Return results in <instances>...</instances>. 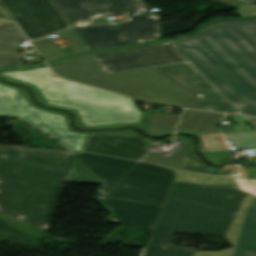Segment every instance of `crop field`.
Listing matches in <instances>:
<instances>
[{
  "label": "crop field",
  "instance_id": "crop-field-1",
  "mask_svg": "<svg viewBox=\"0 0 256 256\" xmlns=\"http://www.w3.org/2000/svg\"><path fill=\"white\" fill-rule=\"evenodd\" d=\"M1 154L0 213L48 228L77 154L0 145Z\"/></svg>",
  "mask_w": 256,
  "mask_h": 256
},
{
  "label": "crop field",
  "instance_id": "crop-field-2",
  "mask_svg": "<svg viewBox=\"0 0 256 256\" xmlns=\"http://www.w3.org/2000/svg\"><path fill=\"white\" fill-rule=\"evenodd\" d=\"M243 114L256 116V21L171 41Z\"/></svg>",
  "mask_w": 256,
  "mask_h": 256
},
{
  "label": "crop field",
  "instance_id": "crop-field-3",
  "mask_svg": "<svg viewBox=\"0 0 256 256\" xmlns=\"http://www.w3.org/2000/svg\"><path fill=\"white\" fill-rule=\"evenodd\" d=\"M245 196L236 186L174 182L153 233L178 231L224 237Z\"/></svg>",
  "mask_w": 256,
  "mask_h": 256
},
{
  "label": "crop field",
  "instance_id": "crop-field-4",
  "mask_svg": "<svg viewBox=\"0 0 256 256\" xmlns=\"http://www.w3.org/2000/svg\"><path fill=\"white\" fill-rule=\"evenodd\" d=\"M57 75L136 99L198 109L196 93L149 67L105 75L90 54L49 63Z\"/></svg>",
  "mask_w": 256,
  "mask_h": 256
},
{
  "label": "crop field",
  "instance_id": "crop-field-5",
  "mask_svg": "<svg viewBox=\"0 0 256 256\" xmlns=\"http://www.w3.org/2000/svg\"><path fill=\"white\" fill-rule=\"evenodd\" d=\"M4 74L35 83L50 104L77 109L85 125L138 122L142 115L132 99L55 78L48 67Z\"/></svg>",
  "mask_w": 256,
  "mask_h": 256
},
{
  "label": "crop field",
  "instance_id": "crop-field-6",
  "mask_svg": "<svg viewBox=\"0 0 256 256\" xmlns=\"http://www.w3.org/2000/svg\"><path fill=\"white\" fill-rule=\"evenodd\" d=\"M103 183L100 193L163 206L178 171L107 156L82 153L78 161Z\"/></svg>",
  "mask_w": 256,
  "mask_h": 256
},
{
  "label": "crop field",
  "instance_id": "crop-field-7",
  "mask_svg": "<svg viewBox=\"0 0 256 256\" xmlns=\"http://www.w3.org/2000/svg\"><path fill=\"white\" fill-rule=\"evenodd\" d=\"M128 22L112 29L110 25L74 28L89 51L156 40L160 33V15L126 16Z\"/></svg>",
  "mask_w": 256,
  "mask_h": 256
},
{
  "label": "crop field",
  "instance_id": "crop-field-8",
  "mask_svg": "<svg viewBox=\"0 0 256 256\" xmlns=\"http://www.w3.org/2000/svg\"><path fill=\"white\" fill-rule=\"evenodd\" d=\"M4 115H14L28 122L57 138L69 150L80 151L86 137L69 131L61 115L36 109L18 90L0 84V116Z\"/></svg>",
  "mask_w": 256,
  "mask_h": 256
},
{
  "label": "crop field",
  "instance_id": "crop-field-9",
  "mask_svg": "<svg viewBox=\"0 0 256 256\" xmlns=\"http://www.w3.org/2000/svg\"><path fill=\"white\" fill-rule=\"evenodd\" d=\"M105 74L184 61L166 40L93 53Z\"/></svg>",
  "mask_w": 256,
  "mask_h": 256
},
{
  "label": "crop field",
  "instance_id": "crop-field-10",
  "mask_svg": "<svg viewBox=\"0 0 256 256\" xmlns=\"http://www.w3.org/2000/svg\"><path fill=\"white\" fill-rule=\"evenodd\" d=\"M30 39L69 28L51 0H1Z\"/></svg>",
  "mask_w": 256,
  "mask_h": 256
},
{
  "label": "crop field",
  "instance_id": "crop-field-11",
  "mask_svg": "<svg viewBox=\"0 0 256 256\" xmlns=\"http://www.w3.org/2000/svg\"><path fill=\"white\" fill-rule=\"evenodd\" d=\"M70 25L94 24V18L105 15L148 13L142 0H53Z\"/></svg>",
  "mask_w": 256,
  "mask_h": 256
},
{
  "label": "crop field",
  "instance_id": "crop-field-12",
  "mask_svg": "<svg viewBox=\"0 0 256 256\" xmlns=\"http://www.w3.org/2000/svg\"><path fill=\"white\" fill-rule=\"evenodd\" d=\"M232 248L219 252H199L194 256H256V197L247 195L224 237Z\"/></svg>",
  "mask_w": 256,
  "mask_h": 256
},
{
  "label": "crop field",
  "instance_id": "crop-field-13",
  "mask_svg": "<svg viewBox=\"0 0 256 256\" xmlns=\"http://www.w3.org/2000/svg\"><path fill=\"white\" fill-rule=\"evenodd\" d=\"M154 68L196 92L199 109L240 114L187 61L155 66Z\"/></svg>",
  "mask_w": 256,
  "mask_h": 256
},
{
  "label": "crop field",
  "instance_id": "crop-field-14",
  "mask_svg": "<svg viewBox=\"0 0 256 256\" xmlns=\"http://www.w3.org/2000/svg\"><path fill=\"white\" fill-rule=\"evenodd\" d=\"M112 215L108 222L133 225L153 229L163 207L115 200L109 198H97Z\"/></svg>",
  "mask_w": 256,
  "mask_h": 256
},
{
  "label": "crop field",
  "instance_id": "crop-field-15",
  "mask_svg": "<svg viewBox=\"0 0 256 256\" xmlns=\"http://www.w3.org/2000/svg\"><path fill=\"white\" fill-rule=\"evenodd\" d=\"M116 143L118 146L113 145ZM143 138H126L90 134L84 150L126 159L139 160L148 146Z\"/></svg>",
  "mask_w": 256,
  "mask_h": 256
},
{
  "label": "crop field",
  "instance_id": "crop-field-16",
  "mask_svg": "<svg viewBox=\"0 0 256 256\" xmlns=\"http://www.w3.org/2000/svg\"><path fill=\"white\" fill-rule=\"evenodd\" d=\"M224 114L186 110L177 130L214 133Z\"/></svg>",
  "mask_w": 256,
  "mask_h": 256
},
{
  "label": "crop field",
  "instance_id": "crop-field-17",
  "mask_svg": "<svg viewBox=\"0 0 256 256\" xmlns=\"http://www.w3.org/2000/svg\"><path fill=\"white\" fill-rule=\"evenodd\" d=\"M24 39L23 34L16 24L12 23L0 26V67L21 65L17 61L16 54L12 52Z\"/></svg>",
  "mask_w": 256,
  "mask_h": 256
},
{
  "label": "crop field",
  "instance_id": "crop-field-18",
  "mask_svg": "<svg viewBox=\"0 0 256 256\" xmlns=\"http://www.w3.org/2000/svg\"><path fill=\"white\" fill-rule=\"evenodd\" d=\"M175 181L201 185H234L231 177H210L179 171Z\"/></svg>",
  "mask_w": 256,
  "mask_h": 256
},
{
  "label": "crop field",
  "instance_id": "crop-field-19",
  "mask_svg": "<svg viewBox=\"0 0 256 256\" xmlns=\"http://www.w3.org/2000/svg\"><path fill=\"white\" fill-rule=\"evenodd\" d=\"M179 116L180 115L154 113L147 133L160 134L173 131Z\"/></svg>",
  "mask_w": 256,
  "mask_h": 256
},
{
  "label": "crop field",
  "instance_id": "crop-field-20",
  "mask_svg": "<svg viewBox=\"0 0 256 256\" xmlns=\"http://www.w3.org/2000/svg\"><path fill=\"white\" fill-rule=\"evenodd\" d=\"M188 149V145H183L182 148L176 150L175 153H171V157L162 158L157 151L149 152L142 160L171 168H180L183 157Z\"/></svg>",
  "mask_w": 256,
  "mask_h": 256
},
{
  "label": "crop field",
  "instance_id": "crop-field-21",
  "mask_svg": "<svg viewBox=\"0 0 256 256\" xmlns=\"http://www.w3.org/2000/svg\"><path fill=\"white\" fill-rule=\"evenodd\" d=\"M194 252L195 250L168 248L167 245L149 243L143 256H193Z\"/></svg>",
  "mask_w": 256,
  "mask_h": 256
},
{
  "label": "crop field",
  "instance_id": "crop-field-22",
  "mask_svg": "<svg viewBox=\"0 0 256 256\" xmlns=\"http://www.w3.org/2000/svg\"><path fill=\"white\" fill-rule=\"evenodd\" d=\"M225 138L234 143L236 150L256 147V130L223 133Z\"/></svg>",
  "mask_w": 256,
  "mask_h": 256
},
{
  "label": "crop field",
  "instance_id": "crop-field-23",
  "mask_svg": "<svg viewBox=\"0 0 256 256\" xmlns=\"http://www.w3.org/2000/svg\"><path fill=\"white\" fill-rule=\"evenodd\" d=\"M46 62L63 57V53L52 39H41L33 41Z\"/></svg>",
  "mask_w": 256,
  "mask_h": 256
},
{
  "label": "crop field",
  "instance_id": "crop-field-24",
  "mask_svg": "<svg viewBox=\"0 0 256 256\" xmlns=\"http://www.w3.org/2000/svg\"><path fill=\"white\" fill-rule=\"evenodd\" d=\"M45 66L46 65H39V66L27 68V69H33V68H39V67H45ZM27 69H19V70H14V71L27 70ZM4 72H12V71H0V73H4ZM0 77L32 85L35 88L36 98L38 99V101H40L42 104H45L47 106H54V105H50V104L47 103V101L44 99V97L42 96V94L40 93V91L37 89V87L34 84L23 82V81H20L18 79H15V78L3 75V74H0ZM55 107H58V106H55ZM59 108H62V107H59ZM64 109H66V108H64ZM69 110H72V109H69ZM72 111H74L76 113V123H77L78 127H83V128H94V127H106V126H120V125H135V124H138V123H131V124H117V125H105V126H84V124L81 121L80 117L78 116L76 110H72Z\"/></svg>",
  "mask_w": 256,
  "mask_h": 256
},
{
  "label": "crop field",
  "instance_id": "crop-field-25",
  "mask_svg": "<svg viewBox=\"0 0 256 256\" xmlns=\"http://www.w3.org/2000/svg\"><path fill=\"white\" fill-rule=\"evenodd\" d=\"M236 178L241 189L256 195V169L242 168Z\"/></svg>",
  "mask_w": 256,
  "mask_h": 256
},
{
  "label": "crop field",
  "instance_id": "crop-field-26",
  "mask_svg": "<svg viewBox=\"0 0 256 256\" xmlns=\"http://www.w3.org/2000/svg\"><path fill=\"white\" fill-rule=\"evenodd\" d=\"M199 142L200 150H229L228 146L222 139L221 133L202 135Z\"/></svg>",
  "mask_w": 256,
  "mask_h": 256
},
{
  "label": "crop field",
  "instance_id": "crop-field-27",
  "mask_svg": "<svg viewBox=\"0 0 256 256\" xmlns=\"http://www.w3.org/2000/svg\"><path fill=\"white\" fill-rule=\"evenodd\" d=\"M180 169L186 170V171H192V172L213 174V175H232V173L234 172V171H227V170H212L202 166L198 162L186 156L184 157V160Z\"/></svg>",
  "mask_w": 256,
  "mask_h": 256
},
{
  "label": "crop field",
  "instance_id": "crop-field-28",
  "mask_svg": "<svg viewBox=\"0 0 256 256\" xmlns=\"http://www.w3.org/2000/svg\"><path fill=\"white\" fill-rule=\"evenodd\" d=\"M69 182L99 183L96 177L76 163Z\"/></svg>",
  "mask_w": 256,
  "mask_h": 256
},
{
  "label": "crop field",
  "instance_id": "crop-field-29",
  "mask_svg": "<svg viewBox=\"0 0 256 256\" xmlns=\"http://www.w3.org/2000/svg\"><path fill=\"white\" fill-rule=\"evenodd\" d=\"M59 35L60 37L69 41L70 44H68V46L71 48L74 54L87 50V48L84 46V44L81 43V41L73 31V29L65 30L59 33Z\"/></svg>",
  "mask_w": 256,
  "mask_h": 256
},
{
  "label": "crop field",
  "instance_id": "crop-field-30",
  "mask_svg": "<svg viewBox=\"0 0 256 256\" xmlns=\"http://www.w3.org/2000/svg\"><path fill=\"white\" fill-rule=\"evenodd\" d=\"M213 163H222L230 154L229 151H201Z\"/></svg>",
  "mask_w": 256,
  "mask_h": 256
},
{
  "label": "crop field",
  "instance_id": "crop-field-31",
  "mask_svg": "<svg viewBox=\"0 0 256 256\" xmlns=\"http://www.w3.org/2000/svg\"><path fill=\"white\" fill-rule=\"evenodd\" d=\"M234 14L245 18L256 16V5L244 2Z\"/></svg>",
  "mask_w": 256,
  "mask_h": 256
},
{
  "label": "crop field",
  "instance_id": "crop-field-32",
  "mask_svg": "<svg viewBox=\"0 0 256 256\" xmlns=\"http://www.w3.org/2000/svg\"><path fill=\"white\" fill-rule=\"evenodd\" d=\"M249 20H256V19H249ZM228 21H248V20H217V21H212L210 22L209 24L201 27L196 33L194 34H190V35H184L180 38H183V37H187V36H191V35H196V34H199L201 31L205 30L206 28H208L209 26L213 25L214 23H220V22H228ZM174 40V39H173ZM168 41H171V40H168ZM173 46V45H172ZM174 47V46H173ZM175 48V47H174ZM176 49V48H175ZM177 50V49H176ZM178 51V50H177ZM179 52V51H178ZM180 53V52H179ZM181 54V53H180ZM182 55V54H181ZM183 56V55H182ZM184 57V56H183ZM185 58V57H184ZM188 60V59H187ZM188 62L197 70L199 71L189 60ZM200 72V71H199ZM201 73V72H200ZM202 74V73H201ZM203 75V74H202ZM204 76V75H203ZM205 77V76H204ZM206 78V77H205ZM207 79V78H206ZM208 80V79H207ZM209 81V80H208ZM210 82V81H209ZM211 83V82H210ZM212 84V83H211ZM213 85V84H212ZM214 86V85H213ZM215 87V86H214ZM216 88V87H215ZM217 89V88H216ZM218 90V89H217ZM219 91V90H218ZM220 92V91H219ZM221 93V92H220ZM222 94V93H221ZM223 95V94H222ZM224 96V95H223ZM225 97V96H224ZM226 98V97H225ZM227 99V98H226ZM228 100V99H227ZM229 101V100H228ZM230 102V101H229ZM231 103V102H230ZM232 104V103H231ZM233 105V104H232ZM234 106V105H233ZM235 107V106H234ZM236 108V107H235ZM237 109V108H236ZM238 110V109H237ZM239 111V110H238ZM240 112V111H239ZM241 113V112H240ZM242 114V113H241Z\"/></svg>",
  "mask_w": 256,
  "mask_h": 256
},
{
  "label": "crop field",
  "instance_id": "crop-field-33",
  "mask_svg": "<svg viewBox=\"0 0 256 256\" xmlns=\"http://www.w3.org/2000/svg\"><path fill=\"white\" fill-rule=\"evenodd\" d=\"M191 143H192V141H191ZM191 143H190L189 149H188V151H187V153H186V156H188V157H190V158H192V159L198 161V162L201 163L202 165H204L203 161H202L197 155H195V154L193 153V151H192V146H193V144H191ZM204 166H205V165H204ZM240 167H242V166H241V165H226V166H225V169H228V170H237V169L240 168ZM213 169H215V168H213Z\"/></svg>",
  "mask_w": 256,
  "mask_h": 256
},
{
  "label": "crop field",
  "instance_id": "crop-field-34",
  "mask_svg": "<svg viewBox=\"0 0 256 256\" xmlns=\"http://www.w3.org/2000/svg\"><path fill=\"white\" fill-rule=\"evenodd\" d=\"M95 134L126 136V137H141L135 131H132V130L114 131V132H99V133H95Z\"/></svg>",
  "mask_w": 256,
  "mask_h": 256
},
{
  "label": "crop field",
  "instance_id": "crop-field-35",
  "mask_svg": "<svg viewBox=\"0 0 256 256\" xmlns=\"http://www.w3.org/2000/svg\"><path fill=\"white\" fill-rule=\"evenodd\" d=\"M1 84H2V83H1ZM4 85H6V84H4ZM7 86H10V87H13V88L18 89V90L31 102L29 96L27 95V93H26L22 88L16 87V86H11V85H7ZM31 103H32V102H31ZM32 104H33V103H32ZM33 105H34V104H33ZM34 106H35L36 108H38V109H41V108L37 107L36 105H34ZM42 110H44V109H42ZM46 111H49V110H46ZM50 112L63 115V117H64V119H65V121H66V123H67V125H68V117H67V114L62 113V112H58V111H50ZM68 127H69V126H68ZM69 129L72 130L70 127H69ZM72 131H74V130H72ZM80 133H81V132H80ZM84 134H86V133H84Z\"/></svg>",
  "mask_w": 256,
  "mask_h": 256
},
{
  "label": "crop field",
  "instance_id": "crop-field-36",
  "mask_svg": "<svg viewBox=\"0 0 256 256\" xmlns=\"http://www.w3.org/2000/svg\"><path fill=\"white\" fill-rule=\"evenodd\" d=\"M170 236L171 235H157V234H153L150 242H152V243L167 244Z\"/></svg>",
  "mask_w": 256,
  "mask_h": 256
},
{
  "label": "crop field",
  "instance_id": "crop-field-37",
  "mask_svg": "<svg viewBox=\"0 0 256 256\" xmlns=\"http://www.w3.org/2000/svg\"><path fill=\"white\" fill-rule=\"evenodd\" d=\"M215 1H218L220 3L226 4L235 8H237L242 3V1H239V0H215Z\"/></svg>",
  "mask_w": 256,
  "mask_h": 256
},
{
  "label": "crop field",
  "instance_id": "crop-field-38",
  "mask_svg": "<svg viewBox=\"0 0 256 256\" xmlns=\"http://www.w3.org/2000/svg\"><path fill=\"white\" fill-rule=\"evenodd\" d=\"M0 17L10 19L9 16L7 15V13L5 12V10L2 8L1 5H0Z\"/></svg>",
  "mask_w": 256,
  "mask_h": 256
},
{
  "label": "crop field",
  "instance_id": "crop-field-39",
  "mask_svg": "<svg viewBox=\"0 0 256 256\" xmlns=\"http://www.w3.org/2000/svg\"><path fill=\"white\" fill-rule=\"evenodd\" d=\"M175 139H182V140H188V141L191 140L190 137H186V136H177V137H175Z\"/></svg>",
  "mask_w": 256,
  "mask_h": 256
},
{
  "label": "crop field",
  "instance_id": "crop-field-40",
  "mask_svg": "<svg viewBox=\"0 0 256 256\" xmlns=\"http://www.w3.org/2000/svg\"><path fill=\"white\" fill-rule=\"evenodd\" d=\"M21 67H27V65H21V66H12V67H2L1 69H9V68H21Z\"/></svg>",
  "mask_w": 256,
  "mask_h": 256
},
{
  "label": "crop field",
  "instance_id": "crop-field-41",
  "mask_svg": "<svg viewBox=\"0 0 256 256\" xmlns=\"http://www.w3.org/2000/svg\"><path fill=\"white\" fill-rule=\"evenodd\" d=\"M255 127H256V118L246 117Z\"/></svg>",
  "mask_w": 256,
  "mask_h": 256
},
{
  "label": "crop field",
  "instance_id": "crop-field-42",
  "mask_svg": "<svg viewBox=\"0 0 256 256\" xmlns=\"http://www.w3.org/2000/svg\"><path fill=\"white\" fill-rule=\"evenodd\" d=\"M8 23H12V22L5 21V20H0V25H2V24H8Z\"/></svg>",
  "mask_w": 256,
  "mask_h": 256
},
{
  "label": "crop field",
  "instance_id": "crop-field-43",
  "mask_svg": "<svg viewBox=\"0 0 256 256\" xmlns=\"http://www.w3.org/2000/svg\"><path fill=\"white\" fill-rule=\"evenodd\" d=\"M247 1H252V2H255L256 0H247Z\"/></svg>",
  "mask_w": 256,
  "mask_h": 256
},
{
  "label": "crop field",
  "instance_id": "crop-field-44",
  "mask_svg": "<svg viewBox=\"0 0 256 256\" xmlns=\"http://www.w3.org/2000/svg\"><path fill=\"white\" fill-rule=\"evenodd\" d=\"M249 168H256V167H249Z\"/></svg>",
  "mask_w": 256,
  "mask_h": 256
}]
</instances>
